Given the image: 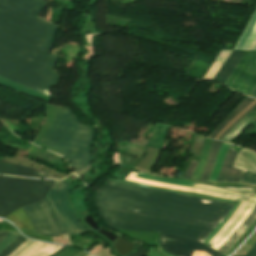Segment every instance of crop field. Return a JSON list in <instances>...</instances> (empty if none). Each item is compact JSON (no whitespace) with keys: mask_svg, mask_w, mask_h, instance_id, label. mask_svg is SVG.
<instances>
[{"mask_svg":"<svg viewBox=\"0 0 256 256\" xmlns=\"http://www.w3.org/2000/svg\"><path fill=\"white\" fill-rule=\"evenodd\" d=\"M105 223L113 228L163 232L203 242L229 212L232 203L108 181L95 197ZM201 242L160 234L164 251L175 256L201 252L223 256Z\"/></svg>","mask_w":256,"mask_h":256,"instance_id":"obj_1","label":"crop field"},{"mask_svg":"<svg viewBox=\"0 0 256 256\" xmlns=\"http://www.w3.org/2000/svg\"><path fill=\"white\" fill-rule=\"evenodd\" d=\"M93 138L90 127L80 125L71 109L61 107L40 143L58 150L81 178L90 167Z\"/></svg>","mask_w":256,"mask_h":256,"instance_id":"obj_2","label":"crop field"},{"mask_svg":"<svg viewBox=\"0 0 256 256\" xmlns=\"http://www.w3.org/2000/svg\"><path fill=\"white\" fill-rule=\"evenodd\" d=\"M53 181L0 176V217L44 198Z\"/></svg>","mask_w":256,"mask_h":256,"instance_id":"obj_3","label":"crop field"},{"mask_svg":"<svg viewBox=\"0 0 256 256\" xmlns=\"http://www.w3.org/2000/svg\"><path fill=\"white\" fill-rule=\"evenodd\" d=\"M68 187L67 182L56 180L48 198L58 216V219L66 233L79 235L87 230L74 217L67 206L65 192Z\"/></svg>","mask_w":256,"mask_h":256,"instance_id":"obj_4","label":"crop field"},{"mask_svg":"<svg viewBox=\"0 0 256 256\" xmlns=\"http://www.w3.org/2000/svg\"><path fill=\"white\" fill-rule=\"evenodd\" d=\"M225 85L249 95L256 86V51H246Z\"/></svg>","mask_w":256,"mask_h":256,"instance_id":"obj_5","label":"crop field"},{"mask_svg":"<svg viewBox=\"0 0 256 256\" xmlns=\"http://www.w3.org/2000/svg\"><path fill=\"white\" fill-rule=\"evenodd\" d=\"M36 232L42 235L60 236L47 208L42 200L28 207H23Z\"/></svg>","mask_w":256,"mask_h":256,"instance_id":"obj_6","label":"crop field"},{"mask_svg":"<svg viewBox=\"0 0 256 256\" xmlns=\"http://www.w3.org/2000/svg\"><path fill=\"white\" fill-rule=\"evenodd\" d=\"M237 153L238 152L234 151L231 146L229 147L220 170L218 181H241L244 172L239 169L232 168Z\"/></svg>","mask_w":256,"mask_h":256,"instance_id":"obj_7","label":"crop field"},{"mask_svg":"<svg viewBox=\"0 0 256 256\" xmlns=\"http://www.w3.org/2000/svg\"><path fill=\"white\" fill-rule=\"evenodd\" d=\"M0 174L57 179L52 175L41 172L31 167L16 165L2 161H0Z\"/></svg>","mask_w":256,"mask_h":256,"instance_id":"obj_8","label":"crop field"},{"mask_svg":"<svg viewBox=\"0 0 256 256\" xmlns=\"http://www.w3.org/2000/svg\"><path fill=\"white\" fill-rule=\"evenodd\" d=\"M234 49L256 50V9Z\"/></svg>","mask_w":256,"mask_h":256,"instance_id":"obj_9","label":"crop field"},{"mask_svg":"<svg viewBox=\"0 0 256 256\" xmlns=\"http://www.w3.org/2000/svg\"><path fill=\"white\" fill-rule=\"evenodd\" d=\"M245 51H233L231 55L227 58L215 76L212 78L214 81H218L220 83H225L226 80L231 76L235 67L239 63Z\"/></svg>","mask_w":256,"mask_h":256,"instance_id":"obj_10","label":"crop field"},{"mask_svg":"<svg viewBox=\"0 0 256 256\" xmlns=\"http://www.w3.org/2000/svg\"><path fill=\"white\" fill-rule=\"evenodd\" d=\"M256 220V206L254 210L248 215V217L241 223V225L235 230L225 244L218 250L225 254L228 248L254 223Z\"/></svg>","mask_w":256,"mask_h":256,"instance_id":"obj_11","label":"crop field"},{"mask_svg":"<svg viewBox=\"0 0 256 256\" xmlns=\"http://www.w3.org/2000/svg\"><path fill=\"white\" fill-rule=\"evenodd\" d=\"M233 167L239 168L244 172L249 170L256 173V155L249 150L242 148L235 160Z\"/></svg>","mask_w":256,"mask_h":256,"instance_id":"obj_12","label":"crop field"},{"mask_svg":"<svg viewBox=\"0 0 256 256\" xmlns=\"http://www.w3.org/2000/svg\"><path fill=\"white\" fill-rule=\"evenodd\" d=\"M221 144H222L221 141H216V140L213 141L207 164H206L205 169L200 177L201 181H208L209 175L212 171V168H213V165H214V162H215V159H216V156L218 154Z\"/></svg>","mask_w":256,"mask_h":256,"instance_id":"obj_13","label":"crop field"},{"mask_svg":"<svg viewBox=\"0 0 256 256\" xmlns=\"http://www.w3.org/2000/svg\"><path fill=\"white\" fill-rule=\"evenodd\" d=\"M160 150L161 149L158 148L148 147L147 151L145 152L141 161L138 163L137 167L151 171L159 156Z\"/></svg>","mask_w":256,"mask_h":256,"instance_id":"obj_14","label":"crop field"},{"mask_svg":"<svg viewBox=\"0 0 256 256\" xmlns=\"http://www.w3.org/2000/svg\"><path fill=\"white\" fill-rule=\"evenodd\" d=\"M168 129L167 126L157 124L149 139L148 146L162 148Z\"/></svg>","mask_w":256,"mask_h":256,"instance_id":"obj_15","label":"crop field"},{"mask_svg":"<svg viewBox=\"0 0 256 256\" xmlns=\"http://www.w3.org/2000/svg\"><path fill=\"white\" fill-rule=\"evenodd\" d=\"M254 99L246 97L230 114L229 116L217 127V129L212 133L210 138L214 139L217 134L247 105H249Z\"/></svg>","mask_w":256,"mask_h":256,"instance_id":"obj_16","label":"crop field"},{"mask_svg":"<svg viewBox=\"0 0 256 256\" xmlns=\"http://www.w3.org/2000/svg\"><path fill=\"white\" fill-rule=\"evenodd\" d=\"M256 118V108L239 124H237L222 140L230 141L238 135L247 125H249Z\"/></svg>","mask_w":256,"mask_h":256,"instance_id":"obj_17","label":"crop field"},{"mask_svg":"<svg viewBox=\"0 0 256 256\" xmlns=\"http://www.w3.org/2000/svg\"><path fill=\"white\" fill-rule=\"evenodd\" d=\"M7 218L10 219L18 228H28L34 230L31 222L21 209L8 215Z\"/></svg>","mask_w":256,"mask_h":256,"instance_id":"obj_18","label":"crop field"},{"mask_svg":"<svg viewBox=\"0 0 256 256\" xmlns=\"http://www.w3.org/2000/svg\"><path fill=\"white\" fill-rule=\"evenodd\" d=\"M194 187H199V188H207V189H212V190H217V191H222V192H228V193H233V194H238V195H243L249 197L251 194L252 189H245V188H220L212 185H207V184H199L196 183Z\"/></svg>","mask_w":256,"mask_h":256,"instance_id":"obj_19","label":"crop field"},{"mask_svg":"<svg viewBox=\"0 0 256 256\" xmlns=\"http://www.w3.org/2000/svg\"><path fill=\"white\" fill-rule=\"evenodd\" d=\"M212 141H213L212 139H208V138L206 139V143L199 160V165L192 177L193 180H198L204 169Z\"/></svg>","mask_w":256,"mask_h":256,"instance_id":"obj_20","label":"crop field"},{"mask_svg":"<svg viewBox=\"0 0 256 256\" xmlns=\"http://www.w3.org/2000/svg\"><path fill=\"white\" fill-rule=\"evenodd\" d=\"M26 239L21 237L20 235L8 246L6 247L1 253L0 256H8L11 254L18 246H20Z\"/></svg>","mask_w":256,"mask_h":256,"instance_id":"obj_21","label":"crop field"},{"mask_svg":"<svg viewBox=\"0 0 256 256\" xmlns=\"http://www.w3.org/2000/svg\"><path fill=\"white\" fill-rule=\"evenodd\" d=\"M35 241L27 239L18 249H16L11 255L9 256H19L25 250H27Z\"/></svg>","mask_w":256,"mask_h":256,"instance_id":"obj_22","label":"crop field"},{"mask_svg":"<svg viewBox=\"0 0 256 256\" xmlns=\"http://www.w3.org/2000/svg\"><path fill=\"white\" fill-rule=\"evenodd\" d=\"M43 202L45 203V205L47 206L48 210L50 211L51 216H52V218H53V220H54V222H55V224H56V226H57V228H58L60 234H65L64 231H63V229L61 228V226H60V224H59V222H58V220H57V218H56L54 212L52 211V209H51V207H50V205H49V202H48L47 198L43 199Z\"/></svg>","mask_w":256,"mask_h":256,"instance_id":"obj_23","label":"crop field"},{"mask_svg":"<svg viewBox=\"0 0 256 256\" xmlns=\"http://www.w3.org/2000/svg\"><path fill=\"white\" fill-rule=\"evenodd\" d=\"M18 234L15 233H9L7 237L4 239V241L0 244V252L7 246L9 245L16 237Z\"/></svg>","mask_w":256,"mask_h":256,"instance_id":"obj_24","label":"crop field"},{"mask_svg":"<svg viewBox=\"0 0 256 256\" xmlns=\"http://www.w3.org/2000/svg\"><path fill=\"white\" fill-rule=\"evenodd\" d=\"M242 182L256 184V174L247 171Z\"/></svg>","mask_w":256,"mask_h":256,"instance_id":"obj_25","label":"crop field"},{"mask_svg":"<svg viewBox=\"0 0 256 256\" xmlns=\"http://www.w3.org/2000/svg\"><path fill=\"white\" fill-rule=\"evenodd\" d=\"M197 164H198L197 161H193V160L191 161V163H190V165H189V167H188V169H187V171L184 175L185 178H189V179L191 178Z\"/></svg>","mask_w":256,"mask_h":256,"instance_id":"obj_26","label":"crop field"},{"mask_svg":"<svg viewBox=\"0 0 256 256\" xmlns=\"http://www.w3.org/2000/svg\"><path fill=\"white\" fill-rule=\"evenodd\" d=\"M79 252V250L67 248L63 250L62 252L58 253L55 256H73L75 253Z\"/></svg>","mask_w":256,"mask_h":256,"instance_id":"obj_27","label":"crop field"},{"mask_svg":"<svg viewBox=\"0 0 256 256\" xmlns=\"http://www.w3.org/2000/svg\"><path fill=\"white\" fill-rule=\"evenodd\" d=\"M256 107V104L252 107V108H250L243 116H241L233 125H231L218 139L219 140H221L223 137H224V135L231 129V128H233L240 120H242L253 108H255Z\"/></svg>","mask_w":256,"mask_h":256,"instance_id":"obj_28","label":"crop field"},{"mask_svg":"<svg viewBox=\"0 0 256 256\" xmlns=\"http://www.w3.org/2000/svg\"><path fill=\"white\" fill-rule=\"evenodd\" d=\"M255 255H256V243L244 256H255Z\"/></svg>","mask_w":256,"mask_h":256,"instance_id":"obj_29","label":"crop field"},{"mask_svg":"<svg viewBox=\"0 0 256 256\" xmlns=\"http://www.w3.org/2000/svg\"><path fill=\"white\" fill-rule=\"evenodd\" d=\"M8 233H1L0 234V243L2 242V240L5 238V236L7 235Z\"/></svg>","mask_w":256,"mask_h":256,"instance_id":"obj_30","label":"crop field"},{"mask_svg":"<svg viewBox=\"0 0 256 256\" xmlns=\"http://www.w3.org/2000/svg\"><path fill=\"white\" fill-rule=\"evenodd\" d=\"M250 96L256 97V87H255V89L251 92Z\"/></svg>","mask_w":256,"mask_h":256,"instance_id":"obj_31","label":"crop field"},{"mask_svg":"<svg viewBox=\"0 0 256 256\" xmlns=\"http://www.w3.org/2000/svg\"><path fill=\"white\" fill-rule=\"evenodd\" d=\"M255 123H256V121H255Z\"/></svg>","mask_w":256,"mask_h":256,"instance_id":"obj_32","label":"crop field"}]
</instances>
